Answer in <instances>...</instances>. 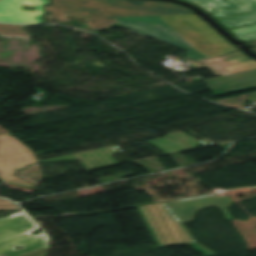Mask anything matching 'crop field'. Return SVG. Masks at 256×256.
Returning a JSON list of instances; mask_svg holds the SVG:
<instances>
[{
    "instance_id": "1",
    "label": "crop field",
    "mask_w": 256,
    "mask_h": 256,
    "mask_svg": "<svg viewBox=\"0 0 256 256\" xmlns=\"http://www.w3.org/2000/svg\"><path fill=\"white\" fill-rule=\"evenodd\" d=\"M115 20L134 33L150 36L189 51L185 54L194 61L236 50L196 14Z\"/></svg>"
},
{
    "instance_id": "2",
    "label": "crop field",
    "mask_w": 256,
    "mask_h": 256,
    "mask_svg": "<svg viewBox=\"0 0 256 256\" xmlns=\"http://www.w3.org/2000/svg\"><path fill=\"white\" fill-rule=\"evenodd\" d=\"M44 8L45 17L57 22L68 21L65 14L84 17L87 26L94 29L117 23L113 18L193 13L174 3L146 0H51Z\"/></svg>"
},
{
    "instance_id": "3",
    "label": "crop field",
    "mask_w": 256,
    "mask_h": 256,
    "mask_svg": "<svg viewBox=\"0 0 256 256\" xmlns=\"http://www.w3.org/2000/svg\"><path fill=\"white\" fill-rule=\"evenodd\" d=\"M37 226L23 211L0 219V255L18 256L46 246L47 237L31 235ZM21 245L23 249L13 247Z\"/></svg>"
},
{
    "instance_id": "4",
    "label": "crop field",
    "mask_w": 256,
    "mask_h": 256,
    "mask_svg": "<svg viewBox=\"0 0 256 256\" xmlns=\"http://www.w3.org/2000/svg\"><path fill=\"white\" fill-rule=\"evenodd\" d=\"M34 153L9 133L0 134V179L18 186L34 188L35 185L16 176L17 170L36 163Z\"/></svg>"
},
{
    "instance_id": "5",
    "label": "crop field",
    "mask_w": 256,
    "mask_h": 256,
    "mask_svg": "<svg viewBox=\"0 0 256 256\" xmlns=\"http://www.w3.org/2000/svg\"><path fill=\"white\" fill-rule=\"evenodd\" d=\"M233 203L224 193L206 195L189 200L166 202L165 204L173 212L181 223L190 222L194 218V211L202 208L218 206L226 216L232 219L226 207Z\"/></svg>"
},
{
    "instance_id": "6",
    "label": "crop field",
    "mask_w": 256,
    "mask_h": 256,
    "mask_svg": "<svg viewBox=\"0 0 256 256\" xmlns=\"http://www.w3.org/2000/svg\"><path fill=\"white\" fill-rule=\"evenodd\" d=\"M48 0H0V22L41 23L42 4ZM21 4L36 5L35 12L20 11Z\"/></svg>"
},
{
    "instance_id": "7",
    "label": "crop field",
    "mask_w": 256,
    "mask_h": 256,
    "mask_svg": "<svg viewBox=\"0 0 256 256\" xmlns=\"http://www.w3.org/2000/svg\"><path fill=\"white\" fill-rule=\"evenodd\" d=\"M210 13L216 20L255 11L256 0H185Z\"/></svg>"
},
{
    "instance_id": "8",
    "label": "crop field",
    "mask_w": 256,
    "mask_h": 256,
    "mask_svg": "<svg viewBox=\"0 0 256 256\" xmlns=\"http://www.w3.org/2000/svg\"><path fill=\"white\" fill-rule=\"evenodd\" d=\"M211 69L214 75H225L256 68V61L239 51L225 54L221 57L200 61ZM198 69L204 68L199 62L195 63Z\"/></svg>"
},
{
    "instance_id": "9",
    "label": "crop field",
    "mask_w": 256,
    "mask_h": 256,
    "mask_svg": "<svg viewBox=\"0 0 256 256\" xmlns=\"http://www.w3.org/2000/svg\"><path fill=\"white\" fill-rule=\"evenodd\" d=\"M122 151L119 149L117 145L96 149L92 151L77 153L73 155L63 156L54 159L41 160L39 163L44 162H57V161H69L78 159L81 164L86 168L87 171L102 169L112 166H118L119 164L113 159L111 155L121 153ZM87 160L90 165L94 168L92 169L86 162H82L81 159Z\"/></svg>"
},
{
    "instance_id": "10",
    "label": "crop field",
    "mask_w": 256,
    "mask_h": 256,
    "mask_svg": "<svg viewBox=\"0 0 256 256\" xmlns=\"http://www.w3.org/2000/svg\"><path fill=\"white\" fill-rule=\"evenodd\" d=\"M169 138L173 139L172 141ZM180 138L183 141L177 139ZM150 144L161 150L167 155L195 149L196 146L204 145L205 147L213 146L207 140L198 141L192 136H188L182 132L166 135L163 138H159L153 141H149Z\"/></svg>"
},
{
    "instance_id": "11",
    "label": "crop field",
    "mask_w": 256,
    "mask_h": 256,
    "mask_svg": "<svg viewBox=\"0 0 256 256\" xmlns=\"http://www.w3.org/2000/svg\"><path fill=\"white\" fill-rule=\"evenodd\" d=\"M256 79V69L224 77L207 79L210 89Z\"/></svg>"
},
{
    "instance_id": "12",
    "label": "crop field",
    "mask_w": 256,
    "mask_h": 256,
    "mask_svg": "<svg viewBox=\"0 0 256 256\" xmlns=\"http://www.w3.org/2000/svg\"><path fill=\"white\" fill-rule=\"evenodd\" d=\"M218 22H220L227 29L244 26L248 24H253V23H256V11L231 17V18H227V19H223V20H219Z\"/></svg>"
},
{
    "instance_id": "13",
    "label": "crop field",
    "mask_w": 256,
    "mask_h": 256,
    "mask_svg": "<svg viewBox=\"0 0 256 256\" xmlns=\"http://www.w3.org/2000/svg\"><path fill=\"white\" fill-rule=\"evenodd\" d=\"M252 89H256V80L213 89L212 92L214 96L217 97V96H222V95H227V94H232V93H237V92H242V91H247Z\"/></svg>"
},
{
    "instance_id": "14",
    "label": "crop field",
    "mask_w": 256,
    "mask_h": 256,
    "mask_svg": "<svg viewBox=\"0 0 256 256\" xmlns=\"http://www.w3.org/2000/svg\"><path fill=\"white\" fill-rule=\"evenodd\" d=\"M242 42L256 40V25L230 30Z\"/></svg>"
},
{
    "instance_id": "15",
    "label": "crop field",
    "mask_w": 256,
    "mask_h": 256,
    "mask_svg": "<svg viewBox=\"0 0 256 256\" xmlns=\"http://www.w3.org/2000/svg\"><path fill=\"white\" fill-rule=\"evenodd\" d=\"M24 26L0 24V34L7 37L20 36L27 38L29 35L22 30Z\"/></svg>"
},
{
    "instance_id": "16",
    "label": "crop field",
    "mask_w": 256,
    "mask_h": 256,
    "mask_svg": "<svg viewBox=\"0 0 256 256\" xmlns=\"http://www.w3.org/2000/svg\"><path fill=\"white\" fill-rule=\"evenodd\" d=\"M20 208L14 204L10 203L5 199H0V210H19Z\"/></svg>"
},
{
    "instance_id": "17",
    "label": "crop field",
    "mask_w": 256,
    "mask_h": 256,
    "mask_svg": "<svg viewBox=\"0 0 256 256\" xmlns=\"http://www.w3.org/2000/svg\"><path fill=\"white\" fill-rule=\"evenodd\" d=\"M44 250H40V251H36V252H33V253H30V254H27V255H24V256H43L44 254Z\"/></svg>"
},
{
    "instance_id": "18",
    "label": "crop field",
    "mask_w": 256,
    "mask_h": 256,
    "mask_svg": "<svg viewBox=\"0 0 256 256\" xmlns=\"http://www.w3.org/2000/svg\"><path fill=\"white\" fill-rule=\"evenodd\" d=\"M245 44L249 47L256 46V41L246 42ZM252 50L256 52V48H253Z\"/></svg>"
},
{
    "instance_id": "19",
    "label": "crop field",
    "mask_w": 256,
    "mask_h": 256,
    "mask_svg": "<svg viewBox=\"0 0 256 256\" xmlns=\"http://www.w3.org/2000/svg\"><path fill=\"white\" fill-rule=\"evenodd\" d=\"M248 101H256V93L251 94Z\"/></svg>"
},
{
    "instance_id": "20",
    "label": "crop field",
    "mask_w": 256,
    "mask_h": 256,
    "mask_svg": "<svg viewBox=\"0 0 256 256\" xmlns=\"http://www.w3.org/2000/svg\"><path fill=\"white\" fill-rule=\"evenodd\" d=\"M167 208V207H166ZM167 210L169 211V209L167 208ZM169 213L172 215V216H174V217H176L174 214H172L170 211H169ZM144 219V218H143ZM145 221V220H144Z\"/></svg>"
}]
</instances>
